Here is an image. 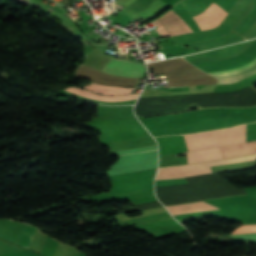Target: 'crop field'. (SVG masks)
<instances>
[{
	"mask_svg": "<svg viewBox=\"0 0 256 256\" xmlns=\"http://www.w3.org/2000/svg\"><path fill=\"white\" fill-rule=\"evenodd\" d=\"M184 137L188 151L246 142V124L224 130L184 135Z\"/></svg>",
	"mask_w": 256,
	"mask_h": 256,
	"instance_id": "obj_1",
	"label": "crop field"
},
{
	"mask_svg": "<svg viewBox=\"0 0 256 256\" xmlns=\"http://www.w3.org/2000/svg\"><path fill=\"white\" fill-rule=\"evenodd\" d=\"M256 158V155L233 158L221 161L202 162L174 167L160 168L156 180L186 177L212 172L209 166L249 161Z\"/></svg>",
	"mask_w": 256,
	"mask_h": 256,
	"instance_id": "obj_2",
	"label": "crop field"
},
{
	"mask_svg": "<svg viewBox=\"0 0 256 256\" xmlns=\"http://www.w3.org/2000/svg\"><path fill=\"white\" fill-rule=\"evenodd\" d=\"M205 72L218 77V84L234 83L256 73V54L243 64L228 68L206 70Z\"/></svg>",
	"mask_w": 256,
	"mask_h": 256,
	"instance_id": "obj_3",
	"label": "crop field"
},
{
	"mask_svg": "<svg viewBox=\"0 0 256 256\" xmlns=\"http://www.w3.org/2000/svg\"><path fill=\"white\" fill-rule=\"evenodd\" d=\"M157 23L159 28H157L165 37L175 34H181L186 32H191L190 27L182 21L173 11H167L163 16L154 21ZM157 29L155 31L164 37Z\"/></svg>",
	"mask_w": 256,
	"mask_h": 256,
	"instance_id": "obj_4",
	"label": "crop field"
},
{
	"mask_svg": "<svg viewBox=\"0 0 256 256\" xmlns=\"http://www.w3.org/2000/svg\"><path fill=\"white\" fill-rule=\"evenodd\" d=\"M142 69L143 66L140 63L111 58L101 71L117 75L141 77Z\"/></svg>",
	"mask_w": 256,
	"mask_h": 256,
	"instance_id": "obj_5",
	"label": "crop field"
},
{
	"mask_svg": "<svg viewBox=\"0 0 256 256\" xmlns=\"http://www.w3.org/2000/svg\"><path fill=\"white\" fill-rule=\"evenodd\" d=\"M227 14V12H225L223 9L213 3L207 8L205 12L193 18L198 24L200 30H204L218 26V24Z\"/></svg>",
	"mask_w": 256,
	"mask_h": 256,
	"instance_id": "obj_6",
	"label": "crop field"
},
{
	"mask_svg": "<svg viewBox=\"0 0 256 256\" xmlns=\"http://www.w3.org/2000/svg\"><path fill=\"white\" fill-rule=\"evenodd\" d=\"M223 158L256 153V142L220 147Z\"/></svg>",
	"mask_w": 256,
	"mask_h": 256,
	"instance_id": "obj_7",
	"label": "crop field"
},
{
	"mask_svg": "<svg viewBox=\"0 0 256 256\" xmlns=\"http://www.w3.org/2000/svg\"><path fill=\"white\" fill-rule=\"evenodd\" d=\"M66 90L79 94L81 96H85V97H89L97 100L108 101V102L133 100V99H136L138 96V94H129L125 96L108 97V96L98 95L93 92L86 91L76 87H70V88H67Z\"/></svg>",
	"mask_w": 256,
	"mask_h": 256,
	"instance_id": "obj_8",
	"label": "crop field"
},
{
	"mask_svg": "<svg viewBox=\"0 0 256 256\" xmlns=\"http://www.w3.org/2000/svg\"><path fill=\"white\" fill-rule=\"evenodd\" d=\"M172 215L193 212V211H201V210H213L217 209L203 201L190 203V204H182V205H174L167 206Z\"/></svg>",
	"mask_w": 256,
	"mask_h": 256,
	"instance_id": "obj_9",
	"label": "crop field"
},
{
	"mask_svg": "<svg viewBox=\"0 0 256 256\" xmlns=\"http://www.w3.org/2000/svg\"><path fill=\"white\" fill-rule=\"evenodd\" d=\"M187 154L188 163L222 158L219 147L207 150L191 151L187 152Z\"/></svg>",
	"mask_w": 256,
	"mask_h": 256,
	"instance_id": "obj_10",
	"label": "crop field"
},
{
	"mask_svg": "<svg viewBox=\"0 0 256 256\" xmlns=\"http://www.w3.org/2000/svg\"><path fill=\"white\" fill-rule=\"evenodd\" d=\"M90 91L106 94V95H124L131 93L133 88H119V87H107L96 84H91L88 87H84Z\"/></svg>",
	"mask_w": 256,
	"mask_h": 256,
	"instance_id": "obj_11",
	"label": "crop field"
},
{
	"mask_svg": "<svg viewBox=\"0 0 256 256\" xmlns=\"http://www.w3.org/2000/svg\"><path fill=\"white\" fill-rule=\"evenodd\" d=\"M36 230V228L28 225L18 244L29 249Z\"/></svg>",
	"mask_w": 256,
	"mask_h": 256,
	"instance_id": "obj_12",
	"label": "crop field"
}]
</instances>
